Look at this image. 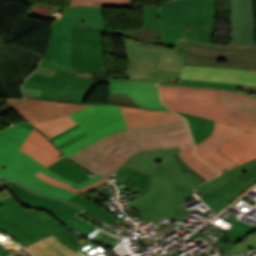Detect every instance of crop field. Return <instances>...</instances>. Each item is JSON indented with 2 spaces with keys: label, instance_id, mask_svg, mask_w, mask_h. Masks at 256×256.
I'll return each mask as SVG.
<instances>
[{
  "label": "crop field",
  "instance_id": "39",
  "mask_svg": "<svg viewBox=\"0 0 256 256\" xmlns=\"http://www.w3.org/2000/svg\"><path fill=\"white\" fill-rule=\"evenodd\" d=\"M176 113L180 114L181 116H183L185 119L188 120L193 138H196L205 130L206 128L205 118H201V117H197V116H193L185 113H180V112H176Z\"/></svg>",
  "mask_w": 256,
  "mask_h": 256
},
{
  "label": "crop field",
  "instance_id": "17",
  "mask_svg": "<svg viewBox=\"0 0 256 256\" xmlns=\"http://www.w3.org/2000/svg\"><path fill=\"white\" fill-rule=\"evenodd\" d=\"M180 149H165V150H155V151H146V152H140L134 156H132L126 163L123 164V166L135 169L137 171L151 174L156 162L160 160L168 172L173 174L177 179L181 180L184 184L188 185L189 187L195 189L194 184L180 176L176 170L171 166V164L167 161L165 157L171 156L177 152H179Z\"/></svg>",
  "mask_w": 256,
  "mask_h": 256
},
{
  "label": "crop field",
  "instance_id": "43",
  "mask_svg": "<svg viewBox=\"0 0 256 256\" xmlns=\"http://www.w3.org/2000/svg\"><path fill=\"white\" fill-rule=\"evenodd\" d=\"M36 176L39 177V178H41V179H43V180H45V181H47V182H49V183H51V184H54V185L59 186V187H63V188L70 189V190H72V191H74V192H76V193H78V192H80V191L84 192V191H86V190H88V189H90V188H93V187H95V186H97V185H100V184H102V183L107 182V181H105V180H102V181H100V182H97V183H95V184H92V185H90V186H87V187H85V188H82V189H80V190H77V189H75V188H73V187H71V186H69V185H66V184H64V183H61V182L56 181V180H54V179H51V178L47 177L46 175H44V174H42V173H40V172L37 173Z\"/></svg>",
  "mask_w": 256,
  "mask_h": 256
},
{
  "label": "crop field",
  "instance_id": "27",
  "mask_svg": "<svg viewBox=\"0 0 256 256\" xmlns=\"http://www.w3.org/2000/svg\"><path fill=\"white\" fill-rule=\"evenodd\" d=\"M103 8L96 7H70L64 14L77 15L84 21L85 27L106 33Z\"/></svg>",
  "mask_w": 256,
  "mask_h": 256
},
{
  "label": "crop field",
  "instance_id": "19",
  "mask_svg": "<svg viewBox=\"0 0 256 256\" xmlns=\"http://www.w3.org/2000/svg\"><path fill=\"white\" fill-rule=\"evenodd\" d=\"M0 206L3 207L0 208L1 211L22 222L42 238L53 234L62 243L66 242L62 235H60L52 227L39 221L37 218L29 214L13 195L0 200Z\"/></svg>",
  "mask_w": 256,
  "mask_h": 256
},
{
  "label": "crop field",
  "instance_id": "50",
  "mask_svg": "<svg viewBox=\"0 0 256 256\" xmlns=\"http://www.w3.org/2000/svg\"><path fill=\"white\" fill-rule=\"evenodd\" d=\"M62 19H65L67 21L73 22L75 24L81 25L84 27L83 25V21H81L78 17L76 16H69V15H63Z\"/></svg>",
  "mask_w": 256,
  "mask_h": 256
},
{
  "label": "crop field",
  "instance_id": "55",
  "mask_svg": "<svg viewBox=\"0 0 256 256\" xmlns=\"http://www.w3.org/2000/svg\"><path fill=\"white\" fill-rule=\"evenodd\" d=\"M20 125H22V126H24V127H26V128H28V129H30V130H32L33 131V127L29 124V123H27V122H23V123H19Z\"/></svg>",
  "mask_w": 256,
  "mask_h": 256
},
{
  "label": "crop field",
  "instance_id": "44",
  "mask_svg": "<svg viewBox=\"0 0 256 256\" xmlns=\"http://www.w3.org/2000/svg\"><path fill=\"white\" fill-rule=\"evenodd\" d=\"M168 161L172 164V166L177 170V172L182 175L183 177H185L186 179H188L189 181H191L192 183H194L195 185H199L201 184L199 181H197L195 178H193L189 173H187L178 163L177 161L174 159L173 156L171 157H167Z\"/></svg>",
  "mask_w": 256,
  "mask_h": 256
},
{
  "label": "crop field",
  "instance_id": "33",
  "mask_svg": "<svg viewBox=\"0 0 256 256\" xmlns=\"http://www.w3.org/2000/svg\"><path fill=\"white\" fill-rule=\"evenodd\" d=\"M116 173L122 175L123 177L121 179H119L117 182H115L114 184H118L119 182H121L122 184L124 183V187L119 189V192H123L131 187H133L135 184L138 185L140 188H142L144 190L150 176L137 172L135 170L126 168L121 166Z\"/></svg>",
  "mask_w": 256,
  "mask_h": 256
},
{
  "label": "crop field",
  "instance_id": "38",
  "mask_svg": "<svg viewBox=\"0 0 256 256\" xmlns=\"http://www.w3.org/2000/svg\"><path fill=\"white\" fill-rule=\"evenodd\" d=\"M256 249V231L251 233L246 239L231 247L221 256H232L235 254L251 251Z\"/></svg>",
  "mask_w": 256,
  "mask_h": 256
},
{
  "label": "crop field",
  "instance_id": "26",
  "mask_svg": "<svg viewBox=\"0 0 256 256\" xmlns=\"http://www.w3.org/2000/svg\"><path fill=\"white\" fill-rule=\"evenodd\" d=\"M25 248L36 256H80L64 246L53 235L41 239Z\"/></svg>",
  "mask_w": 256,
  "mask_h": 256
},
{
  "label": "crop field",
  "instance_id": "22",
  "mask_svg": "<svg viewBox=\"0 0 256 256\" xmlns=\"http://www.w3.org/2000/svg\"><path fill=\"white\" fill-rule=\"evenodd\" d=\"M245 131L226 124L215 122L213 133L203 142L195 146V154L200 157L214 151L217 147L239 136ZM216 138V140H215Z\"/></svg>",
  "mask_w": 256,
  "mask_h": 256
},
{
  "label": "crop field",
  "instance_id": "41",
  "mask_svg": "<svg viewBox=\"0 0 256 256\" xmlns=\"http://www.w3.org/2000/svg\"><path fill=\"white\" fill-rule=\"evenodd\" d=\"M178 85L228 89V90H232V91H236L237 86H238V85H234V84L201 82V81H187V80H180ZM244 94H247V93H244ZM247 95L256 97V95H253V94H247Z\"/></svg>",
  "mask_w": 256,
  "mask_h": 256
},
{
  "label": "crop field",
  "instance_id": "20",
  "mask_svg": "<svg viewBox=\"0 0 256 256\" xmlns=\"http://www.w3.org/2000/svg\"><path fill=\"white\" fill-rule=\"evenodd\" d=\"M64 25V27H62ZM71 23L59 19L52 24V34L45 52V60L69 63ZM48 57V59H46Z\"/></svg>",
  "mask_w": 256,
  "mask_h": 256
},
{
  "label": "crop field",
  "instance_id": "29",
  "mask_svg": "<svg viewBox=\"0 0 256 256\" xmlns=\"http://www.w3.org/2000/svg\"><path fill=\"white\" fill-rule=\"evenodd\" d=\"M126 125L125 122H121V123H117V124H113V125H109L105 128H102L94 133H91L89 135H87L86 137H84L83 139L61 149L65 155L68 157L70 156L72 153H74L75 151L85 147L86 145L110 134V133H114V132H118L121 131L123 129H126ZM76 153V152H75Z\"/></svg>",
  "mask_w": 256,
  "mask_h": 256
},
{
  "label": "crop field",
  "instance_id": "3",
  "mask_svg": "<svg viewBox=\"0 0 256 256\" xmlns=\"http://www.w3.org/2000/svg\"><path fill=\"white\" fill-rule=\"evenodd\" d=\"M159 8L163 45L182 49V40L212 44L216 0H173Z\"/></svg>",
  "mask_w": 256,
  "mask_h": 256
},
{
  "label": "crop field",
  "instance_id": "4",
  "mask_svg": "<svg viewBox=\"0 0 256 256\" xmlns=\"http://www.w3.org/2000/svg\"><path fill=\"white\" fill-rule=\"evenodd\" d=\"M159 86L219 91L217 104L224 119L228 124L237 126L247 132L217 149L239 165L256 158V98L227 90L168 85Z\"/></svg>",
  "mask_w": 256,
  "mask_h": 256
},
{
  "label": "crop field",
  "instance_id": "10",
  "mask_svg": "<svg viewBox=\"0 0 256 256\" xmlns=\"http://www.w3.org/2000/svg\"><path fill=\"white\" fill-rule=\"evenodd\" d=\"M69 116L81 126L54 140L57 146L84 132L89 134L109 124L123 121L119 107L108 105H91Z\"/></svg>",
  "mask_w": 256,
  "mask_h": 256
},
{
  "label": "crop field",
  "instance_id": "34",
  "mask_svg": "<svg viewBox=\"0 0 256 256\" xmlns=\"http://www.w3.org/2000/svg\"><path fill=\"white\" fill-rule=\"evenodd\" d=\"M75 124L77 123L66 115L35 124V126L50 138Z\"/></svg>",
  "mask_w": 256,
  "mask_h": 256
},
{
  "label": "crop field",
  "instance_id": "48",
  "mask_svg": "<svg viewBox=\"0 0 256 256\" xmlns=\"http://www.w3.org/2000/svg\"><path fill=\"white\" fill-rule=\"evenodd\" d=\"M23 93H24L25 97L37 99L39 97V95L42 93V91L23 88Z\"/></svg>",
  "mask_w": 256,
  "mask_h": 256
},
{
  "label": "crop field",
  "instance_id": "57",
  "mask_svg": "<svg viewBox=\"0 0 256 256\" xmlns=\"http://www.w3.org/2000/svg\"><path fill=\"white\" fill-rule=\"evenodd\" d=\"M165 256H169L168 254H166Z\"/></svg>",
  "mask_w": 256,
  "mask_h": 256
},
{
  "label": "crop field",
  "instance_id": "32",
  "mask_svg": "<svg viewBox=\"0 0 256 256\" xmlns=\"http://www.w3.org/2000/svg\"><path fill=\"white\" fill-rule=\"evenodd\" d=\"M254 167H256V159L249 163H246L242 166L231 169V170L221 174L220 176L202 184L199 188L196 189V192L198 195H201V194L219 186L220 184L224 183L228 179H230L236 175L242 174Z\"/></svg>",
  "mask_w": 256,
  "mask_h": 256
},
{
  "label": "crop field",
  "instance_id": "12",
  "mask_svg": "<svg viewBox=\"0 0 256 256\" xmlns=\"http://www.w3.org/2000/svg\"><path fill=\"white\" fill-rule=\"evenodd\" d=\"M230 43L256 44L254 0H229Z\"/></svg>",
  "mask_w": 256,
  "mask_h": 256
},
{
  "label": "crop field",
  "instance_id": "7",
  "mask_svg": "<svg viewBox=\"0 0 256 256\" xmlns=\"http://www.w3.org/2000/svg\"><path fill=\"white\" fill-rule=\"evenodd\" d=\"M184 65L256 71V45H206L183 41Z\"/></svg>",
  "mask_w": 256,
  "mask_h": 256
},
{
  "label": "crop field",
  "instance_id": "35",
  "mask_svg": "<svg viewBox=\"0 0 256 256\" xmlns=\"http://www.w3.org/2000/svg\"><path fill=\"white\" fill-rule=\"evenodd\" d=\"M200 159L220 173L238 165L217 149L212 153L200 157Z\"/></svg>",
  "mask_w": 256,
  "mask_h": 256
},
{
  "label": "crop field",
  "instance_id": "13",
  "mask_svg": "<svg viewBox=\"0 0 256 256\" xmlns=\"http://www.w3.org/2000/svg\"><path fill=\"white\" fill-rule=\"evenodd\" d=\"M98 83L109 84L110 92L128 94L141 108L171 111L159 101L157 82L109 79V81H98Z\"/></svg>",
  "mask_w": 256,
  "mask_h": 256
},
{
  "label": "crop field",
  "instance_id": "21",
  "mask_svg": "<svg viewBox=\"0 0 256 256\" xmlns=\"http://www.w3.org/2000/svg\"><path fill=\"white\" fill-rule=\"evenodd\" d=\"M21 150L46 167L55 163L62 154L47 138L34 129Z\"/></svg>",
  "mask_w": 256,
  "mask_h": 256
},
{
  "label": "crop field",
  "instance_id": "49",
  "mask_svg": "<svg viewBox=\"0 0 256 256\" xmlns=\"http://www.w3.org/2000/svg\"><path fill=\"white\" fill-rule=\"evenodd\" d=\"M55 70L54 69H49V68H45V67H40L38 66L35 73L37 74H43V75H49V76H53Z\"/></svg>",
  "mask_w": 256,
  "mask_h": 256
},
{
  "label": "crop field",
  "instance_id": "6",
  "mask_svg": "<svg viewBox=\"0 0 256 256\" xmlns=\"http://www.w3.org/2000/svg\"><path fill=\"white\" fill-rule=\"evenodd\" d=\"M151 177L153 180L149 191L143 197L132 202L143 219L155 222L167 217L174 221L178 217L190 214L193 209L188 211L185 206L199 199L189 203L183 199L194 194V190L168 173L160 161Z\"/></svg>",
  "mask_w": 256,
  "mask_h": 256
},
{
  "label": "crop field",
  "instance_id": "11",
  "mask_svg": "<svg viewBox=\"0 0 256 256\" xmlns=\"http://www.w3.org/2000/svg\"><path fill=\"white\" fill-rule=\"evenodd\" d=\"M27 80L48 83V87L63 90L57 102L83 104L97 81L87 80L56 70L53 77L33 74Z\"/></svg>",
  "mask_w": 256,
  "mask_h": 256
},
{
  "label": "crop field",
  "instance_id": "14",
  "mask_svg": "<svg viewBox=\"0 0 256 256\" xmlns=\"http://www.w3.org/2000/svg\"><path fill=\"white\" fill-rule=\"evenodd\" d=\"M6 102L32 124L66 115L89 106L35 99L8 100Z\"/></svg>",
  "mask_w": 256,
  "mask_h": 256
},
{
  "label": "crop field",
  "instance_id": "56",
  "mask_svg": "<svg viewBox=\"0 0 256 256\" xmlns=\"http://www.w3.org/2000/svg\"><path fill=\"white\" fill-rule=\"evenodd\" d=\"M0 168L4 169V167L0 166Z\"/></svg>",
  "mask_w": 256,
  "mask_h": 256
},
{
  "label": "crop field",
  "instance_id": "16",
  "mask_svg": "<svg viewBox=\"0 0 256 256\" xmlns=\"http://www.w3.org/2000/svg\"><path fill=\"white\" fill-rule=\"evenodd\" d=\"M180 79L256 86V72L238 69L184 66Z\"/></svg>",
  "mask_w": 256,
  "mask_h": 256
},
{
  "label": "crop field",
  "instance_id": "53",
  "mask_svg": "<svg viewBox=\"0 0 256 256\" xmlns=\"http://www.w3.org/2000/svg\"><path fill=\"white\" fill-rule=\"evenodd\" d=\"M85 135H87V134L85 133V134H83V135H81V136H79V137H77V138H75V139H73V140H71V141H69V142H67V143H65V144H63V145H61V146H59L60 149L63 148V147H65V146H67V145H69L70 143H72V142H74V141H76V140H78V139L84 137Z\"/></svg>",
  "mask_w": 256,
  "mask_h": 256
},
{
  "label": "crop field",
  "instance_id": "54",
  "mask_svg": "<svg viewBox=\"0 0 256 256\" xmlns=\"http://www.w3.org/2000/svg\"><path fill=\"white\" fill-rule=\"evenodd\" d=\"M9 253L0 245V256H7Z\"/></svg>",
  "mask_w": 256,
  "mask_h": 256
},
{
  "label": "crop field",
  "instance_id": "28",
  "mask_svg": "<svg viewBox=\"0 0 256 256\" xmlns=\"http://www.w3.org/2000/svg\"><path fill=\"white\" fill-rule=\"evenodd\" d=\"M254 230H256V228H252V227L236 220L235 223L233 225H231V227L228 231L229 243L214 241V240L209 239L197 232L194 233L192 236H190V238L196 239V238L201 237L206 243H208L212 247V248H210L211 250H213V249L216 250V248H214L216 245L219 246L221 250H225L227 248V246H232V245L237 244L238 242L243 240L248 234H250ZM211 250H209V251H211ZM209 251H207V252H209Z\"/></svg>",
  "mask_w": 256,
  "mask_h": 256
},
{
  "label": "crop field",
  "instance_id": "37",
  "mask_svg": "<svg viewBox=\"0 0 256 256\" xmlns=\"http://www.w3.org/2000/svg\"><path fill=\"white\" fill-rule=\"evenodd\" d=\"M71 200L76 202L77 204L83 206L87 210H90L91 212H93L96 216L100 217L101 219H103V220H105L109 223L117 225L115 220H114L115 217L111 216V214L107 213L106 211H104L100 207L96 206L94 203L87 200L86 198L77 194L76 196L71 198Z\"/></svg>",
  "mask_w": 256,
  "mask_h": 256
},
{
  "label": "crop field",
  "instance_id": "42",
  "mask_svg": "<svg viewBox=\"0 0 256 256\" xmlns=\"http://www.w3.org/2000/svg\"><path fill=\"white\" fill-rule=\"evenodd\" d=\"M79 211L81 210L65 203L61 207H59L56 211H54L51 214V216L55 217L62 224L63 222H65L67 219H69L71 216H73L75 213Z\"/></svg>",
  "mask_w": 256,
  "mask_h": 256
},
{
  "label": "crop field",
  "instance_id": "51",
  "mask_svg": "<svg viewBox=\"0 0 256 256\" xmlns=\"http://www.w3.org/2000/svg\"><path fill=\"white\" fill-rule=\"evenodd\" d=\"M78 126H80V125L77 124V125H75V126L69 128V129H67V130H65V131H63V132H61L60 134H58V135H56V136H54V137H52V138H50V139L54 140V139H56V138H58V137H60V136H62V135H64V134H66L67 132H69V131L75 129V128L78 127Z\"/></svg>",
  "mask_w": 256,
  "mask_h": 256
},
{
  "label": "crop field",
  "instance_id": "18",
  "mask_svg": "<svg viewBox=\"0 0 256 256\" xmlns=\"http://www.w3.org/2000/svg\"><path fill=\"white\" fill-rule=\"evenodd\" d=\"M158 17V5L143 8V27L118 30L107 33L134 38L141 43H157L162 45V34L158 22Z\"/></svg>",
  "mask_w": 256,
  "mask_h": 256
},
{
  "label": "crop field",
  "instance_id": "1",
  "mask_svg": "<svg viewBox=\"0 0 256 256\" xmlns=\"http://www.w3.org/2000/svg\"><path fill=\"white\" fill-rule=\"evenodd\" d=\"M120 108L128 129L108 135L69 158L107 178L137 152L193 142L185 119L173 112Z\"/></svg>",
  "mask_w": 256,
  "mask_h": 256
},
{
  "label": "crop field",
  "instance_id": "8",
  "mask_svg": "<svg viewBox=\"0 0 256 256\" xmlns=\"http://www.w3.org/2000/svg\"><path fill=\"white\" fill-rule=\"evenodd\" d=\"M70 71L108 75L101 32L72 23Z\"/></svg>",
  "mask_w": 256,
  "mask_h": 256
},
{
  "label": "crop field",
  "instance_id": "40",
  "mask_svg": "<svg viewBox=\"0 0 256 256\" xmlns=\"http://www.w3.org/2000/svg\"><path fill=\"white\" fill-rule=\"evenodd\" d=\"M46 85L47 84H44V83L25 81V83L23 84V87L44 90L38 99L55 101V99L58 97L61 91L45 87Z\"/></svg>",
  "mask_w": 256,
  "mask_h": 256
},
{
  "label": "crop field",
  "instance_id": "52",
  "mask_svg": "<svg viewBox=\"0 0 256 256\" xmlns=\"http://www.w3.org/2000/svg\"><path fill=\"white\" fill-rule=\"evenodd\" d=\"M79 215L82 216L84 219H86V220L92 222V223H95V224H97V225H101V223H99V222L93 220L92 218H90L89 216H87L84 212H82V213L79 214Z\"/></svg>",
  "mask_w": 256,
  "mask_h": 256
},
{
  "label": "crop field",
  "instance_id": "47",
  "mask_svg": "<svg viewBox=\"0 0 256 256\" xmlns=\"http://www.w3.org/2000/svg\"><path fill=\"white\" fill-rule=\"evenodd\" d=\"M213 127H214V122L207 119V128L203 134H201L196 139H194L195 144H197V143L203 141L205 138H207L213 131Z\"/></svg>",
  "mask_w": 256,
  "mask_h": 256
},
{
  "label": "crop field",
  "instance_id": "45",
  "mask_svg": "<svg viewBox=\"0 0 256 256\" xmlns=\"http://www.w3.org/2000/svg\"><path fill=\"white\" fill-rule=\"evenodd\" d=\"M39 65L69 72V64L42 60Z\"/></svg>",
  "mask_w": 256,
  "mask_h": 256
},
{
  "label": "crop field",
  "instance_id": "36",
  "mask_svg": "<svg viewBox=\"0 0 256 256\" xmlns=\"http://www.w3.org/2000/svg\"><path fill=\"white\" fill-rule=\"evenodd\" d=\"M73 5H95L133 8V0H70L69 6Z\"/></svg>",
  "mask_w": 256,
  "mask_h": 256
},
{
  "label": "crop field",
  "instance_id": "23",
  "mask_svg": "<svg viewBox=\"0 0 256 256\" xmlns=\"http://www.w3.org/2000/svg\"><path fill=\"white\" fill-rule=\"evenodd\" d=\"M0 180H4V179H0ZM4 181H8V180H4ZM7 189H9L12 192V194L15 195V197L20 201V203L26 209L42 210L50 214L64 203V202L33 195L28 191H26L25 189H23L18 184L13 182H11L7 186Z\"/></svg>",
  "mask_w": 256,
  "mask_h": 256
},
{
  "label": "crop field",
  "instance_id": "5",
  "mask_svg": "<svg viewBox=\"0 0 256 256\" xmlns=\"http://www.w3.org/2000/svg\"><path fill=\"white\" fill-rule=\"evenodd\" d=\"M128 65L124 66L125 78L159 81L179 79L186 51L156 44H141L122 37Z\"/></svg>",
  "mask_w": 256,
  "mask_h": 256
},
{
  "label": "crop field",
  "instance_id": "24",
  "mask_svg": "<svg viewBox=\"0 0 256 256\" xmlns=\"http://www.w3.org/2000/svg\"><path fill=\"white\" fill-rule=\"evenodd\" d=\"M29 213L37 217L39 220L47 223L48 225L52 226L54 229H56L59 233H61L67 243L64 245L68 246L72 250L76 251L79 254L89 255L85 253V250L92 248L88 243L87 239L82 238L69 230H67L65 227H63L55 218L51 217L50 215L46 214L45 212L41 211H33V210H27Z\"/></svg>",
  "mask_w": 256,
  "mask_h": 256
},
{
  "label": "crop field",
  "instance_id": "30",
  "mask_svg": "<svg viewBox=\"0 0 256 256\" xmlns=\"http://www.w3.org/2000/svg\"><path fill=\"white\" fill-rule=\"evenodd\" d=\"M47 168L51 169L52 171L56 172L61 176H64L74 181L77 184L91 178L87 175L89 173L88 171L75 165L67 158L62 159Z\"/></svg>",
  "mask_w": 256,
  "mask_h": 256
},
{
  "label": "crop field",
  "instance_id": "25",
  "mask_svg": "<svg viewBox=\"0 0 256 256\" xmlns=\"http://www.w3.org/2000/svg\"><path fill=\"white\" fill-rule=\"evenodd\" d=\"M0 230L23 246L29 243H32L38 239H41L40 236H38L28 227L21 224L14 218L4 214L1 211H0Z\"/></svg>",
  "mask_w": 256,
  "mask_h": 256
},
{
  "label": "crop field",
  "instance_id": "15",
  "mask_svg": "<svg viewBox=\"0 0 256 256\" xmlns=\"http://www.w3.org/2000/svg\"><path fill=\"white\" fill-rule=\"evenodd\" d=\"M255 183L256 168L230 179L221 186L200 197L208 207L217 213Z\"/></svg>",
  "mask_w": 256,
  "mask_h": 256
},
{
  "label": "crop field",
  "instance_id": "9",
  "mask_svg": "<svg viewBox=\"0 0 256 256\" xmlns=\"http://www.w3.org/2000/svg\"><path fill=\"white\" fill-rule=\"evenodd\" d=\"M161 101L169 108L226 123L216 104L218 92L159 87Z\"/></svg>",
  "mask_w": 256,
  "mask_h": 256
},
{
  "label": "crop field",
  "instance_id": "31",
  "mask_svg": "<svg viewBox=\"0 0 256 256\" xmlns=\"http://www.w3.org/2000/svg\"><path fill=\"white\" fill-rule=\"evenodd\" d=\"M182 152L179 153L180 157L183 159V161L194 171L202 175L207 180L218 175L216 171H214L212 168H210L208 165H206L204 162H202L200 159L194 156L193 154V143L181 147Z\"/></svg>",
  "mask_w": 256,
  "mask_h": 256
},
{
  "label": "crop field",
  "instance_id": "2",
  "mask_svg": "<svg viewBox=\"0 0 256 256\" xmlns=\"http://www.w3.org/2000/svg\"><path fill=\"white\" fill-rule=\"evenodd\" d=\"M32 131L16 125L0 132V165L6 167L0 169V176L16 180L26 188L43 195L67 201L76 193L56 187L38 179L34 174L42 172L56 180L69 184L77 189L102 180L95 176L79 185L57 175L42 164L30 158L26 153L20 151V147Z\"/></svg>",
  "mask_w": 256,
  "mask_h": 256
},
{
  "label": "crop field",
  "instance_id": "46",
  "mask_svg": "<svg viewBox=\"0 0 256 256\" xmlns=\"http://www.w3.org/2000/svg\"><path fill=\"white\" fill-rule=\"evenodd\" d=\"M175 157V159L178 161V163L187 171L189 172L193 177H195L196 179H198L200 182H205L207 181L206 179H204L202 176H200L199 174H197L196 172H194L192 169H190L183 161L182 159L179 157L178 153L173 155Z\"/></svg>",
  "mask_w": 256,
  "mask_h": 256
}]
</instances>
